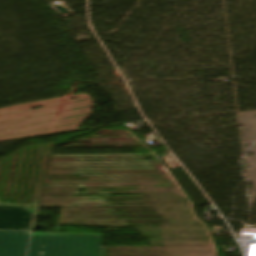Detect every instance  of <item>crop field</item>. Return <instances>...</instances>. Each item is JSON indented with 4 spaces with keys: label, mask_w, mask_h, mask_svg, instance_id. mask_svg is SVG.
Returning <instances> with one entry per match:
<instances>
[{
    "label": "crop field",
    "mask_w": 256,
    "mask_h": 256,
    "mask_svg": "<svg viewBox=\"0 0 256 256\" xmlns=\"http://www.w3.org/2000/svg\"><path fill=\"white\" fill-rule=\"evenodd\" d=\"M33 214L24 207L0 206V229L29 230Z\"/></svg>",
    "instance_id": "ac0d7876"
},
{
    "label": "crop field",
    "mask_w": 256,
    "mask_h": 256,
    "mask_svg": "<svg viewBox=\"0 0 256 256\" xmlns=\"http://www.w3.org/2000/svg\"><path fill=\"white\" fill-rule=\"evenodd\" d=\"M29 232L0 231V256H24Z\"/></svg>",
    "instance_id": "34b2d1b8"
},
{
    "label": "crop field",
    "mask_w": 256,
    "mask_h": 256,
    "mask_svg": "<svg viewBox=\"0 0 256 256\" xmlns=\"http://www.w3.org/2000/svg\"><path fill=\"white\" fill-rule=\"evenodd\" d=\"M102 235L32 233L27 256H99Z\"/></svg>",
    "instance_id": "8a807250"
}]
</instances>
